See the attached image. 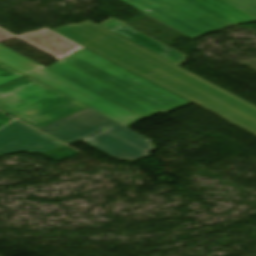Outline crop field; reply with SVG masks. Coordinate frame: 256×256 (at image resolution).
Instances as JSON below:
<instances>
[{
	"label": "crop field",
	"instance_id": "3316defc",
	"mask_svg": "<svg viewBox=\"0 0 256 256\" xmlns=\"http://www.w3.org/2000/svg\"><path fill=\"white\" fill-rule=\"evenodd\" d=\"M147 79L256 136V126L242 120L241 118L199 98L198 96L156 75L149 77Z\"/></svg>",
	"mask_w": 256,
	"mask_h": 256
},
{
	"label": "crop field",
	"instance_id": "dd49c442",
	"mask_svg": "<svg viewBox=\"0 0 256 256\" xmlns=\"http://www.w3.org/2000/svg\"><path fill=\"white\" fill-rule=\"evenodd\" d=\"M168 26L197 38L232 26L186 0H120Z\"/></svg>",
	"mask_w": 256,
	"mask_h": 256
},
{
	"label": "crop field",
	"instance_id": "cbeb9de0",
	"mask_svg": "<svg viewBox=\"0 0 256 256\" xmlns=\"http://www.w3.org/2000/svg\"><path fill=\"white\" fill-rule=\"evenodd\" d=\"M225 1L231 3L232 5L238 8L256 3V0H225Z\"/></svg>",
	"mask_w": 256,
	"mask_h": 256
},
{
	"label": "crop field",
	"instance_id": "d1516ede",
	"mask_svg": "<svg viewBox=\"0 0 256 256\" xmlns=\"http://www.w3.org/2000/svg\"><path fill=\"white\" fill-rule=\"evenodd\" d=\"M199 7L213 13L225 21L237 25L256 22V19L224 0H188Z\"/></svg>",
	"mask_w": 256,
	"mask_h": 256
},
{
	"label": "crop field",
	"instance_id": "f4fd0767",
	"mask_svg": "<svg viewBox=\"0 0 256 256\" xmlns=\"http://www.w3.org/2000/svg\"><path fill=\"white\" fill-rule=\"evenodd\" d=\"M0 61L89 105L90 108L128 128L144 119L2 44Z\"/></svg>",
	"mask_w": 256,
	"mask_h": 256
},
{
	"label": "crop field",
	"instance_id": "ac0d7876",
	"mask_svg": "<svg viewBox=\"0 0 256 256\" xmlns=\"http://www.w3.org/2000/svg\"><path fill=\"white\" fill-rule=\"evenodd\" d=\"M106 127L110 129L83 141L120 160L135 161L145 158L149 155L146 152L153 150L149 143L152 140L90 108L38 129L69 143L91 136Z\"/></svg>",
	"mask_w": 256,
	"mask_h": 256
},
{
	"label": "crop field",
	"instance_id": "412701ff",
	"mask_svg": "<svg viewBox=\"0 0 256 256\" xmlns=\"http://www.w3.org/2000/svg\"><path fill=\"white\" fill-rule=\"evenodd\" d=\"M86 108L30 77L0 88V109L36 128Z\"/></svg>",
	"mask_w": 256,
	"mask_h": 256
},
{
	"label": "crop field",
	"instance_id": "8a807250",
	"mask_svg": "<svg viewBox=\"0 0 256 256\" xmlns=\"http://www.w3.org/2000/svg\"><path fill=\"white\" fill-rule=\"evenodd\" d=\"M99 26L86 20L51 30L144 78L156 74L256 125V106Z\"/></svg>",
	"mask_w": 256,
	"mask_h": 256
},
{
	"label": "crop field",
	"instance_id": "28ad6ade",
	"mask_svg": "<svg viewBox=\"0 0 256 256\" xmlns=\"http://www.w3.org/2000/svg\"><path fill=\"white\" fill-rule=\"evenodd\" d=\"M20 38L60 60L82 47L45 28Z\"/></svg>",
	"mask_w": 256,
	"mask_h": 256
},
{
	"label": "crop field",
	"instance_id": "e52e79f7",
	"mask_svg": "<svg viewBox=\"0 0 256 256\" xmlns=\"http://www.w3.org/2000/svg\"><path fill=\"white\" fill-rule=\"evenodd\" d=\"M61 146L64 145L19 121L0 130V156L22 151L44 153Z\"/></svg>",
	"mask_w": 256,
	"mask_h": 256
},
{
	"label": "crop field",
	"instance_id": "5a996713",
	"mask_svg": "<svg viewBox=\"0 0 256 256\" xmlns=\"http://www.w3.org/2000/svg\"><path fill=\"white\" fill-rule=\"evenodd\" d=\"M100 26L178 66L185 63L186 61L187 55L155 40L154 38L120 21L110 19L100 24Z\"/></svg>",
	"mask_w": 256,
	"mask_h": 256
},
{
	"label": "crop field",
	"instance_id": "d9b57169",
	"mask_svg": "<svg viewBox=\"0 0 256 256\" xmlns=\"http://www.w3.org/2000/svg\"><path fill=\"white\" fill-rule=\"evenodd\" d=\"M12 120L14 119L0 112V128L10 123Z\"/></svg>",
	"mask_w": 256,
	"mask_h": 256
},
{
	"label": "crop field",
	"instance_id": "22f410ed",
	"mask_svg": "<svg viewBox=\"0 0 256 256\" xmlns=\"http://www.w3.org/2000/svg\"><path fill=\"white\" fill-rule=\"evenodd\" d=\"M25 76L27 75L0 62V87Z\"/></svg>",
	"mask_w": 256,
	"mask_h": 256
},
{
	"label": "crop field",
	"instance_id": "34b2d1b8",
	"mask_svg": "<svg viewBox=\"0 0 256 256\" xmlns=\"http://www.w3.org/2000/svg\"><path fill=\"white\" fill-rule=\"evenodd\" d=\"M62 61L161 111L163 114L191 104L84 47Z\"/></svg>",
	"mask_w": 256,
	"mask_h": 256
},
{
	"label": "crop field",
	"instance_id": "d8731c3e",
	"mask_svg": "<svg viewBox=\"0 0 256 256\" xmlns=\"http://www.w3.org/2000/svg\"><path fill=\"white\" fill-rule=\"evenodd\" d=\"M61 61L49 68L145 118L160 113Z\"/></svg>",
	"mask_w": 256,
	"mask_h": 256
},
{
	"label": "crop field",
	"instance_id": "5142ce71",
	"mask_svg": "<svg viewBox=\"0 0 256 256\" xmlns=\"http://www.w3.org/2000/svg\"><path fill=\"white\" fill-rule=\"evenodd\" d=\"M15 38H17V37L0 29V43L4 44V43H6L10 40H13Z\"/></svg>",
	"mask_w": 256,
	"mask_h": 256
},
{
	"label": "crop field",
	"instance_id": "733c2abd",
	"mask_svg": "<svg viewBox=\"0 0 256 256\" xmlns=\"http://www.w3.org/2000/svg\"><path fill=\"white\" fill-rule=\"evenodd\" d=\"M241 10L245 11L246 13L254 16L256 18V4L244 8H240Z\"/></svg>",
	"mask_w": 256,
	"mask_h": 256
}]
</instances>
